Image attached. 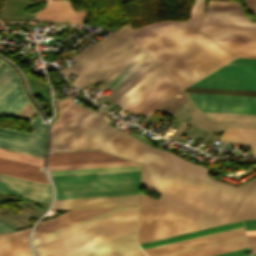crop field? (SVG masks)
I'll return each mask as SVG.
<instances>
[{
    "instance_id": "crop-field-6",
    "label": "crop field",
    "mask_w": 256,
    "mask_h": 256,
    "mask_svg": "<svg viewBox=\"0 0 256 256\" xmlns=\"http://www.w3.org/2000/svg\"><path fill=\"white\" fill-rule=\"evenodd\" d=\"M127 38L113 33L75 57L80 59L98 47L109 52ZM141 49L130 37L109 53L98 48L61 71L67 76L75 70L79 76L73 82L82 88L87 83L103 79Z\"/></svg>"
},
{
    "instance_id": "crop-field-39",
    "label": "crop field",
    "mask_w": 256,
    "mask_h": 256,
    "mask_svg": "<svg viewBox=\"0 0 256 256\" xmlns=\"http://www.w3.org/2000/svg\"><path fill=\"white\" fill-rule=\"evenodd\" d=\"M244 238H246L245 235L230 238V239H225V240H221V241H217V242H212V243H208V244H203V245H199V246H194V247H190V248H185V249H181V250H176V251H172V252H168V253H163V254H159V255H154V256H170V255L188 252V251L201 249V248H205V247H209V246H214V245H218V244H222V243L236 241V240H240V239H244Z\"/></svg>"
},
{
    "instance_id": "crop-field-48",
    "label": "crop field",
    "mask_w": 256,
    "mask_h": 256,
    "mask_svg": "<svg viewBox=\"0 0 256 256\" xmlns=\"http://www.w3.org/2000/svg\"><path fill=\"white\" fill-rule=\"evenodd\" d=\"M249 243H256V234L255 235H247Z\"/></svg>"
},
{
    "instance_id": "crop-field-53",
    "label": "crop field",
    "mask_w": 256,
    "mask_h": 256,
    "mask_svg": "<svg viewBox=\"0 0 256 256\" xmlns=\"http://www.w3.org/2000/svg\"><path fill=\"white\" fill-rule=\"evenodd\" d=\"M0 49L2 50V49H3V46H0Z\"/></svg>"
},
{
    "instance_id": "crop-field-28",
    "label": "crop field",
    "mask_w": 256,
    "mask_h": 256,
    "mask_svg": "<svg viewBox=\"0 0 256 256\" xmlns=\"http://www.w3.org/2000/svg\"><path fill=\"white\" fill-rule=\"evenodd\" d=\"M225 125L256 127V115L205 112Z\"/></svg>"
},
{
    "instance_id": "crop-field-55",
    "label": "crop field",
    "mask_w": 256,
    "mask_h": 256,
    "mask_svg": "<svg viewBox=\"0 0 256 256\" xmlns=\"http://www.w3.org/2000/svg\"><path fill=\"white\" fill-rule=\"evenodd\" d=\"M30 256H32L31 251H30Z\"/></svg>"
},
{
    "instance_id": "crop-field-19",
    "label": "crop field",
    "mask_w": 256,
    "mask_h": 256,
    "mask_svg": "<svg viewBox=\"0 0 256 256\" xmlns=\"http://www.w3.org/2000/svg\"><path fill=\"white\" fill-rule=\"evenodd\" d=\"M84 11L74 12L67 0H47V5L36 13L34 19L67 20L72 19V24H83Z\"/></svg>"
},
{
    "instance_id": "crop-field-51",
    "label": "crop field",
    "mask_w": 256,
    "mask_h": 256,
    "mask_svg": "<svg viewBox=\"0 0 256 256\" xmlns=\"http://www.w3.org/2000/svg\"><path fill=\"white\" fill-rule=\"evenodd\" d=\"M246 233L247 234H254V233H256V230H254V231H246Z\"/></svg>"
},
{
    "instance_id": "crop-field-38",
    "label": "crop field",
    "mask_w": 256,
    "mask_h": 256,
    "mask_svg": "<svg viewBox=\"0 0 256 256\" xmlns=\"http://www.w3.org/2000/svg\"><path fill=\"white\" fill-rule=\"evenodd\" d=\"M0 256H14L13 233L0 235Z\"/></svg>"
},
{
    "instance_id": "crop-field-45",
    "label": "crop field",
    "mask_w": 256,
    "mask_h": 256,
    "mask_svg": "<svg viewBox=\"0 0 256 256\" xmlns=\"http://www.w3.org/2000/svg\"><path fill=\"white\" fill-rule=\"evenodd\" d=\"M244 5L256 16V0H244Z\"/></svg>"
},
{
    "instance_id": "crop-field-17",
    "label": "crop field",
    "mask_w": 256,
    "mask_h": 256,
    "mask_svg": "<svg viewBox=\"0 0 256 256\" xmlns=\"http://www.w3.org/2000/svg\"><path fill=\"white\" fill-rule=\"evenodd\" d=\"M125 159L100 151L49 153L48 166L123 162Z\"/></svg>"
},
{
    "instance_id": "crop-field-29",
    "label": "crop field",
    "mask_w": 256,
    "mask_h": 256,
    "mask_svg": "<svg viewBox=\"0 0 256 256\" xmlns=\"http://www.w3.org/2000/svg\"><path fill=\"white\" fill-rule=\"evenodd\" d=\"M248 247L246 239L175 256H211Z\"/></svg>"
},
{
    "instance_id": "crop-field-24",
    "label": "crop field",
    "mask_w": 256,
    "mask_h": 256,
    "mask_svg": "<svg viewBox=\"0 0 256 256\" xmlns=\"http://www.w3.org/2000/svg\"><path fill=\"white\" fill-rule=\"evenodd\" d=\"M173 84L174 83L171 81V79L165 75L119 112L122 113L128 109L136 114L139 110L145 107L148 103H150L153 99H155Z\"/></svg>"
},
{
    "instance_id": "crop-field-58",
    "label": "crop field",
    "mask_w": 256,
    "mask_h": 256,
    "mask_svg": "<svg viewBox=\"0 0 256 256\" xmlns=\"http://www.w3.org/2000/svg\"><path fill=\"white\" fill-rule=\"evenodd\" d=\"M143 256H145V255H143Z\"/></svg>"
},
{
    "instance_id": "crop-field-52",
    "label": "crop field",
    "mask_w": 256,
    "mask_h": 256,
    "mask_svg": "<svg viewBox=\"0 0 256 256\" xmlns=\"http://www.w3.org/2000/svg\"><path fill=\"white\" fill-rule=\"evenodd\" d=\"M251 169H255L256 170V164L254 166H252Z\"/></svg>"
},
{
    "instance_id": "crop-field-41",
    "label": "crop field",
    "mask_w": 256,
    "mask_h": 256,
    "mask_svg": "<svg viewBox=\"0 0 256 256\" xmlns=\"http://www.w3.org/2000/svg\"><path fill=\"white\" fill-rule=\"evenodd\" d=\"M242 229H244V228L241 227V228H237V229H233V230H228V231L219 232V233L206 235V236H202V237H197V238H193V239H189V240L175 242V243H171V244H167V245L153 247V248L145 249L144 252L155 250V249H160V248H164V247H168V246H173V245H177V244H181V243H186V242H190V241H195V240H199V239H203V238H208V237H212V236H216V235H221V234H225V233H229V232H234V231H238V230H242Z\"/></svg>"
},
{
    "instance_id": "crop-field-16",
    "label": "crop field",
    "mask_w": 256,
    "mask_h": 256,
    "mask_svg": "<svg viewBox=\"0 0 256 256\" xmlns=\"http://www.w3.org/2000/svg\"><path fill=\"white\" fill-rule=\"evenodd\" d=\"M139 195L55 200L52 210L137 205Z\"/></svg>"
},
{
    "instance_id": "crop-field-14",
    "label": "crop field",
    "mask_w": 256,
    "mask_h": 256,
    "mask_svg": "<svg viewBox=\"0 0 256 256\" xmlns=\"http://www.w3.org/2000/svg\"><path fill=\"white\" fill-rule=\"evenodd\" d=\"M9 68L7 64L4 63V65L0 68V74L3 72L5 68ZM7 69L4 70V72L0 75L1 76L5 73ZM13 77L11 76V74ZM6 75L0 80V114H18L20 110L25 106V104L28 102L27 99L25 98L23 91L20 86V82L16 74L12 71L10 68ZM0 116H15L16 115H0Z\"/></svg>"
},
{
    "instance_id": "crop-field-18",
    "label": "crop field",
    "mask_w": 256,
    "mask_h": 256,
    "mask_svg": "<svg viewBox=\"0 0 256 256\" xmlns=\"http://www.w3.org/2000/svg\"><path fill=\"white\" fill-rule=\"evenodd\" d=\"M158 200L141 192L139 243L157 239Z\"/></svg>"
},
{
    "instance_id": "crop-field-31",
    "label": "crop field",
    "mask_w": 256,
    "mask_h": 256,
    "mask_svg": "<svg viewBox=\"0 0 256 256\" xmlns=\"http://www.w3.org/2000/svg\"><path fill=\"white\" fill-rule=\"evenodd\" d=\"M179 91L180 90L174 84L168 90H166L163 94H161L158 98H156L149 105H147L144 109H142L139 113H141V114H143L145 116L149 115L151 112H153L159 106H161L162 104L167 102L170 98H172Z\"/></svg>"
},
{
    "instance_id": "crop-field-47",
    "label": "crop field",
    "mask_w": 256,
    "mask_h": 256,
    "mask_svg": "<svg viewBox=\"0 0 256 256\" xmlns=\"http://www.w3.org/2000/svg\"><path fill=\"white\" fill-rule=\"evenodd\" d=\"M10 231H16V229L0 222V232H10Z\"/></svg>"
},
{
    "instance_id": "crop-field-13",
    "label": "crop field",
    "mask_w": 256,
    "mask_h": 256,
    "mask_svg": "<svg viewBox=\"0 0 256 256\" xmlns=\"http://www.w3.org/2000/svg\"><path fill=\"white\" fill-rule=\"evenodd\" d=\"M199 30L214 40L256 42V25L203 21Z\"/></svg>"
},
{
    "instance_id": "crop-field-32",
    "label": "crop field",
    "mask_w": 256,
    "mask_h": 256,
    "mask_svg": "<svg viewBox=\"0 0 256 256\" xmlns=\"http://www.w3.org/2000/svg\"><path fill=\"white\" fill-rule=\"evenodd\" d=\"M29 232L30 229L14 233L15 256H29Z\"/></svg>"
},
{
    "instance_id": "crop-field-56",
    "label": "crop field",
    "mask_w": 256,
    "mask_h": 256,
    "mask_svg": "<svg viewBox=\"0 0 256 256\" xmlns=\"http://www.w3.org/2000/svg\"><path fill=\"white\" fill-rule=\"evenodd\" d=\"M254 256H256V253H254Z\"/></svg>"
},
{
    "instance_id": "crop-field-35",
    "label": "crop field",
    "mask_w": 256,
    "mask_h": 256,
    "mask_svg": "<svg viewBox=\"0 0 256 256\" xmlns=\"http://www.w3.org/2000/svg\"><path fill=\"white\" fill-rule=\"evenodd\" d=\"M139 165L133 162L48 167L49 171Z\"/></svg>"
},
{
    "instance_id": "crop-field-57",
    "label": "crop field",
    "mask_w": 256,
    "mask_h": 256,
    "mask_svg": "<svg viewBox=\"0 0 256 256\" xmlns=\"http://www.w3.org/2000/svg\"><path fill=\"white\" fill-rule=\"evenodd\" d=\"M123 2L126 1V0H122Z\"/></svg>"
},
{
    "instance_id": "crop-field-10",
    "label": "crop field",
    "mask_w": 256,
    "mask_h": 256,
    "mask_svg": "<svg viewBox=\"0 0 256 256\" xmlns=\"http://www.w3.org/2000/svg\"><path fill=\"white\" fill-rule=\"evenodd\" d=\"M33 134L0 127V148L43 158L47 139L46 125L41 118L30 120Z\"/></svg>"
},
{
    "instance_id": "crop-field-34",
    "label": "crop field",
    "mask_w": 256,
    "mask_h": 256,
    "mask_svg": "<svg viewBox=\"0 0 256 256\" xmlns=\"http://www.w3.org/2000/svg\"><path fill=\"white\" fill-rule=\"evenodd\" d=\"M0 157L43 167V159L41 158L20 154L8 150L0 149Z\"/></svg>"
},
{
    "instance_id": "crop-field-3",
    "label": "crop field",
    "mask_w": 256,
    "mask_h": 256,
    "mask_svg": "<svg viewBox=\"0 0 256 256\" xmlns=\"http://www.w3.org/2000/svg\"><path fill=\"white\" fill-rule=\"evenodd\" d=\"M200 166L161 150L158 239L198 229Z\"/></svg>"
},
{
    "instance_id": "crop-field-8",
    "label": "crop field",
    "mask_w": 256,
    "mask_h": 256,
    "mask_svg": "<svg viewBox=\"0 0 256 256\" xmlns=\"http://www.w3.org/2000/svg\"><path fill=\"white\" fill-rule=\"evenodd\" d=\"M150 58L142 49L104 78L107 82L102 86L113 91L108 99L123 107L164 76Z\"/></svg>"
},
{
    "instance_id": "crop-field-2",
    "label": "crop field",
    "mask_w": 256,
    "mask_h": 256,
    "mask_svg": "<svg viewBox=\"0 0 256 256\" xmlns=\"http://www.w3.org/2000/svg\"><path fill=\"white\" fill-rule=\"evenodd\" d=\"M90 131L93 135L99 132L93 136ZM90 149L144 164L141 186L158 194V183L152 181L151 176H159L160 150L113 128L101 115L84 108L52 135L50 152ZM152 179L159 182V177Z\"/></svg>"
},
{
    "instance_id": "crop-field-50",
    "label": "crop field",
    "mask_w": 256,
    "mask_h": 256,
    "mask_svg": "<svg viewBox=\"0 0 256 256\" xmlns=\"http://www.w3.org/2000/svg\"><path fill=\"white\" fill-rule=\"evenodd\" d=\"M250 245V249L253 251V252H256V244H249Z\"/></svg>"
},
{
    "instance_id": "crop-field-27",
    "label": "crop field",
    "mask_w": 256,
    "mask_h": 256,
    "mask_svg": "<svg viewBox=\"0 0 256 256\" xmlns=\"http://www.w3.org/2000/svg\"><path fill=\"white\" fill-rule=\"evenodd\" d=\"M69 98L56 102L58 106L59 116L53 121L51 126L52 134L62 127L67 121H69L74 115H76L84 107L78 103H71Z\"/></svg>"
},
{
    "instance_id": "crop-field-40",
    "label": "crop field",
    "mask_w": 256,
    "mask_h": 256,
    "mask_svg": "<svg viewBox=\"0 0 256 256\" xmlns=\"http://www.w3.org/2000/svg\"><path fill=\"white\" fill-rule=\"evenodd\" d=\"M139 167H140V166L118 167V168H102V169H87V170H72V171H56V172H49V174H50V175H57V174H72V173H87V172L132 170V169H139Z\"/></svg>"
},
{
    "instance_id": "crop-field-11",
    "label": "crop field",
    "mask_w": 256,
    "mask_h": 256,
    "mask_svg": "<svg viewBox=\"0 0 256 256\" xmlns=\"http://www.w3.org/2000/svg\"><path fill=\"white\" fill-rule=\"evenodd\" d=\"M186 95L202 111L256 114V96L195 93H186Z\"/></svg>"
},
{
    "instance_id": "crop-field-12",
    "label": "crop field",
    "mask_w": 256,
    "mask_h": 256,
    "mask_svg": "<svg viewBox=\"0 0 256 256\" xmlns=\"http://www.w3.org/2000/svg\"><path fill=\"white\" fill-rule=\"evenodd\" d=\"M137 250L136 229L63 256H123Z\"/></svg>"
},
{
    "instance_id": "crop-field-5",
    "label": "crop field",
    "mask_w": 256,
    "mask_h": 256,
    "mask_svg": "<svg viewBox=\"0 0 256 256\" xmlns=\"http://www.w3.org/2000/svg\"><path fill=\"white\" fill-rule=\"evenodd\" d=\"M55 199L139 194V170L51 176Z\"/></svg>"
},
{
    "instance_id": "crop-field-9",
    "label": "crop field",
    "mask_w": 256,
    "mask_h": 256,
    "mask_svg": "<svg viewBox=\"0 0 256 256\" xmlns=\"http://www.w3.org/2000/svg\"><path fill=\"white\" fill-rule=\"evenodd\" d=\"M190 86L256 90V59L236 58Z\"/></svg>"
},
{
    "instance_id": "crop-field-30",
    "label": "crop field",
    "mask_w": 256,
    "mask_h": 256,
    "mask_svg": "<svg viewBox=\"0 0 256 256\" xmlns=\"http://www.w3.org/2000/svg\"><path fill=\"white\" fill-rule=\"evenodd\" d=\"M231 53L237 56L256 57V43L217 41Z\"/></svg>"
},
{
    "instance_id": "crop-field-22",
    "label": "crop field",
    "mask_w": 256,
    "mask_h": 256,
    "mask_svg": "<svg viewBox=\"0 0 256 256\" xmlns=\"http://www.w3.org/2000/svg\"><path fill=\"white\" fill-rule=\"evenodd\" d=\"M137 207H138V206L118 207V208H115V209H113V210L104 212V213H102V214H99V215L90 217V218H88V219L79 221V222H77V223L68 225V226H66V227H63V228L54 230V231H52V232H49V233L40 235V236L34 238L35 244H36V243H39V242H42V241H44V240H47V239L56 237V236H58V235H61V234L70 232V231H72V230H75V229L84 227V226H86V225H89V224H92V223L101 221V220H103V219H106V218L115 216V215H117V214H120V213L129 211V210L134 209V208H137Z\"/></svg>"
},
{
    "instance_id": "crop-field-7",
    "label": "crop field",
    "mask_w": 256,
    "mask_h": 256,
    "mask_svg": "<svg viewBox=\"0 0 256 256\" xmlns=\"http://www.w3.org/2000/svg\"><path fill=\"white\" fill-rule=\"evenodd\" d=\"M138 208L36 244L39 256H60L137 228Z\"/></svg>"
},
{
    "instance_id": "crop-field-43",
    "label": "crop field",
    "mask_w": 256,
    "mask_h": 256,
    "mask_svg": "<svg viewBox=\"0 0 256 256\" xmlns=\"http://www.w3.org/2000/svg\"><path fill=\"white\" fill-rule=\"evenodd\" d=\"M148 25H150V24H148ZM148 25H144L140 28H135V29H131L128 25H125L122 28H120L119 30H117L116 32L121 33V34H126V35H133V34L139 32L140 30L144 29Z\"/></svg>"
},
{
    "instance_id": "crop-field-44",
    "label": "crop field",
    "mask_w": 256,
    "mask_h": 256,
    "mask_svg": "<svg viewBox=\"0 0 256 256\" xmlns=\"http://www.w3.org/2000/svg\"><path fill=\"white\" fill-rule=\"evenodd\" d=\"M246 252H249L248 248L238 250V251L229 252V253H224V254H220V255H216V256H244V253H246ZM247 256H250V255H247Z\"/></svg>"
},
{
    "instance_id": "crop-field-49",
    "label": "crop field",
    "mask_w": 256,
    "mask_h": 256,
    "mask_svg": "<svg viewBox=\"0 0 256 256\" xmlns=\"http://www.w3.org/2000/svg\"><path fill=\"white\" fill-rule=\"evenodd\" d=\"M140 255H143V252H142V250H140V251H137V252H134V253H132V254H129V255H126V256H140Z\"/></svg>"
},
{
    "instance_id": "crop-field-37",
    "label": "crop field",
    "mask_w": 256,
    "mask_h": 256,
    "mask_svg": "<svg viewBox=\"0 0 256 256\" xmlns=\"http://www.w3.org/2000/svg\"><path fill=\"white\" fill-rule=\"evenodd\" d=\"M205 0H196L194 7L192 9L191 17L187 22L199 28L203 15L205 13L204 10Z\"/></svg>"
},
{
    "instance_id": "crop-field-21",
    "label": "crop field",
    "mask_w": 256,
    "mask_h": 256,
    "mask_svg": "<svg viewBox=\"0 0 256 256\" xmlns=\"http://www.w3.org/2000/svg\"><path fill=\"white\" fill-rule=\"evenodd\" d=\"M203 20L251 23L239 3L209 1Z\"/></svg>"
},
{
    "instance_id": "crop-field-33",
    "label": "crop field",
    "mask_w": 256,
    "mask_h": 256,
    "mask_svg": "<svg viewBox=\"0 0 256 256\" xmlns=\"http://www.w3.org/2000/svg\"><path fill=\"white\" fill-rule=\"evenodd\" d=\"M243 234H245L244 230L226 234V235L213 237V238H209V239H204V240H200V241H196V242H192V243H188V244H183V245H179V246H175V247H171V248H166V249H162V250H158V251H154V252H150V253H146V255L150 256V255H154V254H159V253L168 252V251H172V250H176V249H181V248H185V247H190V246H194V245L217 241V240L230 238V237H234V236H239V235H243Z\"/></svg>"
},
{
    "instance_id": "crop-field-23",
    "label": "crop field",
    "mask_w": 256,
    "mask_h": 256,
    "mask_svg": "<svg viewBox=\"0 0 256 256\" xmlns=\"http://www.w3.org/2000/svg\"><path fill=\"white\" fill-rule=\"evenodd\" d=\"M39 168L40 167L0 158L1 173L47 183L45 175L39 170Z\"/></svg>"
},
{
    "instance_id": "crop-field-20",
    "label": "crop field",
    "mask_w": 256,
    "mask_h": 256,
    "mask_svg": "<svg viewBox=\"0 0 256 256\" xmlns=\"http://www.w3.org/2000/svg\"><path fill=\"white\" fill-rule=\"evenodd\" d=\"M113 208L104 209H83V210H71L66 213L60 214L58 216L52 217L50 219L40 222L37 228L34 230L33 236H38L40 234L52 231L54 229L66 226L68 224L77 222L79 220L88 218L90 216L102 213L104 211Z\"/></svg>"
},
{
    "instance_id": "crop-field-54",
    "label": "crop field",
    "mask_w": 256,
    "mask_h": 256,
    "mask_svg": "<svg viewBox=\"0 0 256 256\" xmlns=\"http://www.w3.org/2000/svg\"><path fill=\"white\" fill-rule=\"evenodd\" d=\"M3 64V62L0 61V66Z\"/></svg>"
},
{
    "instance_id": "crop-field-26",
    "label": "crop field",
    "mask_w": 256,
    "mask_h": 256,
    "mask_svg": "<svg viewBox=\"0 0 256 256\" xmlns=\"http://www.w3.org/2000/svg\"><path fill=\"white\" fill-rule=\"evenodd\" d=\"M243 226L241 221L140 244L142 249Z\"/></svg>"
},
{
    "instance_id": "crop-field-25",
    "label": "crop field",
    "mask_w": 256,
    "mask_h": 256,
    "mask_svg": "<svg viewBox=\"0 0 256 256\" xmlns=\"http://www.w3.org/2000/svg\"><path fill=\"white\" fill-rule=\"evenodd\" d=\"M220 141L248 144L256 155V129L226 127Z\"/></svg>"
},
{
    "instance_id": "crop-field-36",
    "label": "crop field",
    "mask_w": 256,
    "mask_h": 256,
    "mask_svg": "<svg viewBox=\"0 0 256 256\" xmlns=\"http://www.w3.org/2000/svg\"><path fill=\"white\" fill-rule=\"evenodd\" d=\"M184 92L236 94V95H256V91L225 90V89H210V88H195V87H187V88L184 89Z\"/></svg>"
},
{
    "instance_id": "crop-field-15",
    "label": "crop field",
    "mask_w": 256,
    "mask_h": 256,
    "mask_svg": "<svg viewBox=\"0 0 256 256\" xmlns=\"http://www.w3.org/2000/svg\"><path fill=\"white\" fill-rule=\"evenodd\" d=\"M0 191L37 199L44 202L51 200V185H46L0 173Z\"/></svg>"
},
{
    "instance_id": "crop-field-1",
    "label": "crop field",
    "mask_w": 256,
    "mask_h": 256,
    "mask_svg": "<svg viewBox=\"0 0 256 256\" xmlns=\"http://www.w3.org/2000/svg\"><path fill=\"white\" fill-rule=\"evenodd\" d=\"M134 37L180 88L234 59L185 21L159 22Z\"/></svg>"
},
{
    "instance_id": "crop-field-42",
    "label": "crop field",
    "mask_w": 256,
    "mask_h": 256,
    "mask_svg": "<svg viewBox=\"0 0 256 256\" xmlns=\"http://www.w3.org/2000/svg\"><path fill=\"white\" fill-rule=\"evenodd\" d=\"M29 85L32 91V95H40L43 99H45L48 103H50L49 99V90L45 89L44 87L38 85L37 83L33 82L32 80L28 79Z\"/></svg>"
},
{
    "instance_id": "crop-field-4",
    "label": "crop field",
    "mask_w": 256,
    "mask_h": 256,
    "mask_svg": "<svg viewBox=\"0 0 256 256\" xmlns=\"http://www.w3.org/2000/svg\"><path fill=\"white\" fill-rule=\"evenodd\" d=\"M201 167L199 229L256 218V177L238 188L207 178Z\"/></svg>"
},
{
    "instance_id": "crop-field-46",
    "label": "crop field",
    "mask_w": 256,
    "mask_h": 256,
    "mask_svg": "<svg viewBox=\"0 0 256 256\" xmlns=\"http://www.w3.org/2000/svg\"><path fill=\"white\" fill-rule=\"evenodd\" d=\"M246 230L256 229V219L244 220Z\"/></svg>"
}]
</instances>
